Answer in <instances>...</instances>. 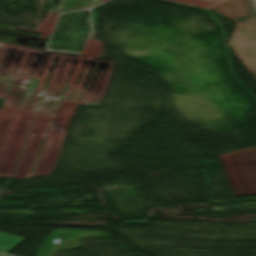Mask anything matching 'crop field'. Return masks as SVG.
Returning <instances> with one entry per match:
<instances>
[{"label": "crop field", "mask_w": 256, "mask_h": 256, "mask_svg": "<svg viewBox=\"0 0 256 256\" xmlns=\"http://www.w3.org/2000/svg\"><path fill=\"white\" fill-rule=\"evenodd\" d=\"M218 157L235 196L256 194V147Z\"/></svg>", "instance_id": "8a807250"}, {"label": "crop field", "mask_w": 256, "mask_h": 256, "mask_svg": "<svg viewBox=\"0 0 256 256\" xmlns=\"http://www.w3.org/2000/svg\"><path fill=\"white\" fill-rule=\"evenodd\" d=\"M24 240L25 238L0 233V250L9 253Z\"/></svg>", "instance_id": "ac0d7876"}, {"label": "crop field", "mask_w": 256, "mask_h": 256, "mask_svg": "<svg viewBox=\"0 0 256 256\" xmlns=\"http://www.w3.org/2000/svg\"><path fill=\"white\" fill-rule=\"evenodd\" d=\"M0 256H4V255H0Z\"/></svg>", "instance_id": "412701ff"}, {"label": "crop field", "mask_w": 256, "mask_h": 256, "mask_svg": "<svg viewBox=\"0 0 256 256\" xmlns=\"http://www.w3.org/2000/svg\"><path fill=\"white\" fill-rule=\"evenodd\" d=\"M4 192V190H0V197L3 195Z\"/></svg>", "instance_id": "34b2d1b8"}]
</instances>
